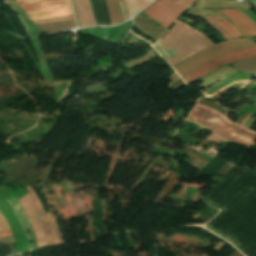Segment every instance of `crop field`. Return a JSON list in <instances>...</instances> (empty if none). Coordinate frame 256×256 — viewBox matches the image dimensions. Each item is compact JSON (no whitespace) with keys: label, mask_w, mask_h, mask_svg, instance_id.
<instances>
[{"label":"crop field","mask_w":256,"mask_h":256,"mask_svg":"<svg viewBox=\"0 0 256 256\" xmlns=\"http://www.w3.org/2000/svg\"><path fill=\"white\" fill-rule=\"evenodd\" d=\"M212 45L203 34L179 21L153 48L173 67Z\"/></svg>","instance_id":"crop-field-1"},{"label":"crop field","mask_w":256,"mask_h":256,"mask_svg":"<svg viewBox=\"0 0 256 256\" xmlns=\"http://www.w3.org/2000/svg\"><path fill=\"white\" fill-rule=\"evenodd\" d=\"M188 119L217 132L223 138L235 143L253 146L256 140V133L231 123L223 115L206 106L196 104Z\"/></svg>","instance_id":"crop-field-2"},{"label":"crop field","mask_w":256,"mask_h":256,"mask_svg":"<svg viewBox=\"0 0 256 256\" xmlns=\"http://www.w3.org/2000/svg\"><path fill=\"white\" fill-rule=\"evenodd\" d=\"M30 20L73 15L69 0H17Z\"/></svg>","instance_id":"crop-field-3"},{"label":"crop field","mask_w":256,"mask_h":256,"mask_svg":"<svg viewBox=\"0 0 256 256\" xmlns=\"http://www.w3.org/2000/svg\"><path fill=\"white\" fill-rule=\"evenodd\" d=\"M254 45L256 44L249 39H236L226 41L201 52L200 54L186 60L185 62L173 68L182 76L223 53Z\"/></svg>","instance_id":"crop-field-4"},{"label":"crop field","mask_w":256,"mask_h":256,"mask_svg":"<svg viewBox=\"0 0 256 256\" xmlns=\"http://www.w3.org/2000/svg\"><path fill=\"white\" fill-rule=\"evenodd\" d=\"M195 0H156L143 13L156 22L169 28L179 14H181Z\"/></svg>","instance_id":"crop-field-5"},{"label":"crop field","mask_w":256,"mask_h":256,"mask_svg":"<svg viewBox=\"0 0 256 256\" xmlns=\"http://www.w3.org/2000/svg\"><path fill=\"white\" fill-rule=\"evenodd\" d=\"M256 58V46L223 54L212 61L204 64L196 70L182 76L186 84L206 75L215 68L236 60Z\"/></svg>","instance_id":"crop-field-6"},{"label":"crop field","mask_w":256,"mask_h":256,"mask_svg":"<svg viewBox=\"0 0 256 256\" xmlns=\"http://www.w3.org/2000/svg\"><path fill=\"white\" fill-rule=\"evenodd\" d=\"M19 200L26 212V215H27V217L30 221V224L34 230V233L36 235L38 248L48 246L41 223H40L39 218L34 210L32 203H31L29 194H26Z\"/></svg>","instance_id":"crop-field-7"},{"label":"crop field","mask_w":256,"mask_h":256,"mask_svg":"<svg viewBox=\"0 0 256 256\" xmlns=\"http://www.w3.org/2000/svg\"><path fill=\"white\" fill-rule=\"evenodd\" d=\"M228 17L245 36H256V26L252 21L235 10L220 11Z\"/></svg>","instance_id":"crop-field-8"},{"label":"crop field","mask_w":256,"mask_h":256,"mask_svg":"<svg viewBox=\"0 0 256 256\" xmlns=\"http://www.w3.org/2000/svg\"><path fill=\"white\" fill-rule=\"evenodd\" d=\"M11 206H12V209L14 211V213L16 214L17 218H18V221L22 227V230L26 236V239H27V244H28V249L30 250L31 249V244H30V241L28 239V236H27V233L24 231V228L25 227H28L30 229V232H29V235H30V238L32 240V245H33V249L37 248V243H36V238L34 236V233H33V230L29 224V221L18 201V198L11 201Z\"/></svg>","instance_id":"crop-field-9"},{"label":"crop field","mask_w":256,"mask_h":256,"mask_svg":"<svg viewBox=\"0 0 256 256\" xmlns=\"http://www.w3.org/2000/svg\"><path fill=\"white\" fill-rule=\"evenodd\" d=\"M73 1H74L80 27L95 26L89 1L88 0H73Z\"/></svg>","instance_id":"crop-field-10"},{"label":"crop field","mask_w":256,"mask_h":256,"mask_svg":"<svg viewBox=\"0 0 256 256\" xmlns=\"http://www.w3.org/2000/svg\"><path fill=\"white\" fill-rule=\"evenodd\" d=\"M27 189H28V191L30 193L31 199H32L34 207H35V209H36V211L38 213V216H39V218H40V220H41V222L43 224L44 230L46 232V237H47L48 244H49V246L50 245H54L55 242H54L53 232H52V230H51V228L49 226V223H48V221H47V219H46V217H45V215L43 213L42 207H41V205H40V203L38 201L36 193H35L33 188H27Z\"/></svg>","instance_id":"crop-field-11"},{"label":"crop field","mask_w":256,"mask_h":256,"mask_svg":"<svg viewBox=\"0 0 256 256\" xmlns=\"http://www.w3.org/2000/svg\"><path fill=\"white\" fill-rule=\"evenodd\" d=\"M109 8L112 24H119L125 20L126 14L121 0H106Z\"/></svg>","instance_id":"crop-field-12"},{"label":"crop field","mask_w":256,"mask_h":256,"mask_svg":"<svg viewBox=\"0 0 256 256\" xmlns=\"http://www.w3.org/2000/svg\"><path fill=\"white\" fill-rule=\"evenodd\" d=\"M36 27L39 28L43 33H47V32L57 31V30L66 29V28H75L76 23L75 21L56 22V23L36 25Z\"/></svg>","instance_id":"crop-field-13"},{"label":"crop field","mask_w":256,"mask_h":256,"mask_svg":"<svg viewBox=\"0 0 256 256\" xmlns=\"http://www.w3.org/2000/svg\"><path fill=\"white\" fill-rule=\"evenodd\" d=\"M153 0H124L128 17H131Z\"/></svg>","instance_id":"crop-field-14"},{"label":"crop field","mask_w":256,"mask_h":256,"mask_svg":"<svg viewBox=\"0 0 256 256\" xmlns=\"http://www.w3.org/2000/svg\"><path fill=\"white\" fill-rule=\"evenodd\" d=\"M221 26H223L233 37L242 36V34L231 24L225 21L223 17L212 16Z\"/></svg>","instance_id":"crop-field-15"},{"label":"crop field","mask_w":256,"mask_h":256,"mask_svg":"<svg viewBox=\"0 0 256 256\" xmlns=\"http://www.w3.org/2000/svg\"><path fill=\"white\" fill-rule=\"evenodd\" d=\"M108 29L109 28H92V29H88V32L90 35L105 41L107 37Z\"/></svg>","instance_id":"crop-field-16"},{"label":"crop field","mask_w":256,"mask_h":256,"mask_svg":"<svg viewBox=\"0 0 256 256\" xmlns=\"http://www.w3.org/2000/svg\"><path fill=\"white\" fill-rule=\"evenodd\" d=\"M205 21H207L208 23H210L212 26H214L217 30H219L222 35L224 37H226L227 39H230L231 37L229 36V34L223 29L221 28L214 20H212L209 16L206 17H202ZM218 31V32H219Z\"/></svg>","instance_id":"crop-field-17"},{"label":"crop field","mask_w":256,"mask_h":256,"mask_svg":"<svg viewBox=\"0 0 256 256\" xmlns=\"http://www.w3.org/2000/svg\"><path fill=\"white\" fill-rule=\"evenodd\" d=\"M11 231L4 216L0 212V232H8Z\"/></svg>","instance_id":"crop-field-18"},{"label":"crop field","mask_w":256,"mask_h":256,"mask_svg":"<svg viewBox=\"0 0 256 256\" xmlns=\"http://www.w3.org/2000/svg\"><path fill=\"white\" fill-rule=\"evenodd\" d=\"M49 214H50V217H51V220H52V223H53L54 229H55V231H56V234H57V236H58L59 243H60V244H64V243H63V240H62V238H61V235H60V232H59V229H58V226H57L56 220H55V218H54V216H53V214H52V213H49Z\"/></svg>","instance_id":"crop-field-19"},{"label":"crop field","mask_w":256,"mask_h":256,"mask_svg":"<svg viewBox=\"0 0 256 256\" xmlns=\"http://www.w3.org/2000/svg\"><path fill=\"white\" fill-rule=\"evenodd\" d=\"M71 19H75L74 16L63 17V18H55V19H48V20H44V21H36V22H33V24L55 22V21H63V20H71Z\"/></svg>","instance_id":"crop-field-20"},{"label":"crop field","mask_w":256,"mask_h":256,"mask_svg":"<svg viewBox=\"0 0 256 256\" xmlns=\"http://www.w3.org/2000/svg\"><path fill=\"white\" fill-rule=\"evenodd\" d=\"M254 76H255V75H254ZM254 76H249V75H245V74H243V73L238 72V73H236V74H234V75H232V76H230V77H228V78H230V79L242 78V79L249 80V79H251V78L254 77Z\"/></svg>","instance_id":"crop-field-21"},{"label":"crop field","mask_w":256,"mask_h":256,"mask_svg":"<svg viewBox=\"0 0 256 256\" xmlns=\"http://www.w3.org/2000/svg\"><path fill=\"white\" fill-rule=\"evenodd\" d=\"M179 19H181V20H183V21L189 23L190 25L193 24V23H195V22L192 21L191 19L185 18V17H183V16H182L181 18H179Z\"/></svg>","instance_id":"crop-field-22"},{"label":"crop field","mask_w":256,"mask_h":256,"mask_svg":"<svg viewBox=\"0 0 256 256\" xmlns=\"http://www.w3.org/2000/svg\"><path fill=\"white\" fill-rule=\"evenodd\" d=\"M46 215H47V217H48V219H49V221H50V223H51V220H50L49 214L47 213ZM51 226H52V223H51ZM52 229H53V226H52ZM53 232H54V229H53ZM54 236H55V242H56V244H58V242H57V237H56L55 232H54Z\"/></svg>","instance_id":"crop-field-23"},{"label":"crop field","mask_w":256,"mask_h":256,"mask_svg":"<svg viewBox=\"0 0 256 256\" xmlns=\"http://www.w3.org/2000/svg\"><path fill=\"white\" fill-rule=\"evenodd\" d=\"M179 78H180V77H179L178 74L173 75V76H172V83L175 82V81H176L177 79H179ZM172 83H171V84H172Z\"/></svg>","instance_id":"crop-field-24"},{"label":"crop field","mask_w":256,"mask_h":256,"mask_svg":"<svg viewBox=\"0 0 256 256\" xmlns=\"http://www.w3.org/2000/svg\"><path fill=\"white\" fill-rule=\"evenodd\" d=\"M255 120H256V118H254L253 120H252V122L249 124V126L247 127V128H249L250 129V127L252 126V124L255 122Z\"/></svg>","instance_id":"crop-field-25"},{"label":"crop field","mask_w":256,"mask_h":256,"mask_svg":"<svg viewBox=\"0 0 256 256\" xmlns=\"http://www.w3.org/2000/svg\"><path fill=\"white\" fill-rule=\"evenodd\" d=\"M8 235H12L11 233H7V234H0V236H8Z\"/></svg>","instance_id":"crop-field-26"}]
</instances>
